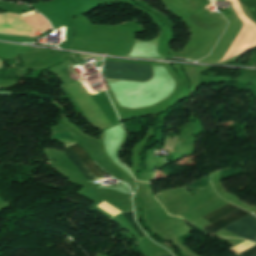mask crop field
<instances>
[{"label":"crop field","instance_id":"obj_1","mask_svg":"<svg viewBox=\"0 0 256 256\" xmlns=\"http://www.w3.org/2000/svg\"><path fill=\"white\" fill-rule=\"evenodd\" d=\"M150 65L104 61L105 80L142 83Z\"/></svg>","mask_w":256,"mask_h":256},{"label":"crop field","instance_id":"obj_2","mask_svg":"<svg viewBox=\"0 0 256 256\" xmlns=\"http://www.w3.org/2000/svg\"><path fill=\"white\" fill-rule=\"evenodd\" d=\"M74 150L79 154V156L85 161V163L90 167V169L95 173L97 177L104 175L102 169H100L88 156V154L84 151V149L74 144L72 145ZM71 146L66 148V156L68 159L77 167V169L84 175L86 179H94L97 178L94 173L89 169V167L83 162V160L78 156V154L73 150Z\"/></svg>","mask_w":256,"mask_h":256},{"label":"crop field","instance_id":"obj_3","mask_svg":"<svg viewBox=\"0 0 256 256\" xmlns=\"http://www.w3.org/2000/svg\"><path fill=\"white\" fill-rule=\"evenodd\" d=\"M224 229L248 239L256 234V217L254 215H250L225 227Z\"/></svg>","mask_w":256,"mask_h":256},{"label":"crop field","instance_id":"obj_4","mask_svg":"<svg viewBox=\"0 0 256 256\" xmlns=\"http://www.w3.org/2000/svg\"><path fill=\"white\" fill-rule=\"evenodd\" d=\"M250 213L240 209L230 215H227L221 219H219L218 221H216L215 223L203 228L204 231L214 235L218 230L222 229L223 227L249 215Z\"/></svg>","mask_w":256,"mask_h":256},{"label":"crop field","instance_id":"obj_5","mask_svg":"<svg viewBox=\"0 0 256 256\" xmlns=\"http://www.w3.org/2000/svg\"><path fill=\"white\" fill-rule=\"evenodd\" d=\"M240 208L228 203L227 205L203 216L202 218L206 219L207 221L209 222H214L215 220L219 219L220 217L226 215V214H229L235 210H238Z\"/></svg>","mask_w":256,"mask_h":256},{"label":"crop field","instance_id":"obj_6","mask_svg":"<svg viewBox=\"0 0 256 256\" xmlns=\"http://www.w3.org/2000/svg\"><path fill=\"white\" fill-rule=\"evenodd\" d=\"M123 215L125 216V218L128 220V222L130 223V225L133 227V229L137 232V234L139 235V237H142L143 234L141 233V231L138 229V227L136 226L135 222H134V216H133V212H124Z\"/></svg>","mask_w":256,"mask_h":256},{"label":"crop field","instance_id":"obj_7","mask_svg":"<svg viewBox=\"0 0 256 256\" xmlns=\"http://www.w3.org/2000/svg\"><path fill=\"white\" fill-rule=\"evenodd\" d=\"M254 255H256V246L238 254V256H254Z\"/></svg>","mask_w":256,"mask_h":256},{"label":"crop field","instance_id":"obj_8","mask_svg":"<svg viewBox=\"0 0 256 256\" xmlns=\"http://www.w3.org/2000/svg\"><path fill=\"white\" fill-rule=\"evenodd\" d=\"M249 240L253 241V242H256V235L253 236L252 238H250Z\"/></svg>","mask_w":256,"mask_h":256},{"label":"crop field","instance_id":"obj_9","mask_svg":"<svg viewBox=\"0 0 256 256\" xmlns=\"http://www.w3.org/2000/svg\"><path fill=\"white\" fill-rule=\"evenodd\" d=\"M3 66V62L2 61H0V68Z\"/></svg>","mask_w":256,"mask_h":256},{"label":"crop field","instance_id":"obj_10","mask_svg":"<svg viewBox=\"0 0 256 256\" xmlns=\"http://www.w3.org/2000/svg\"><path fill=\"white\" fill-rule=\"evenodd\" d=\"M169 256H172V255H169Z\"/></svg>","mask_w":256,"mask_h":256}]
</instances>
